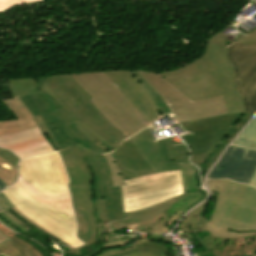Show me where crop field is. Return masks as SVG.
Here are the masks:
<instances>
[{
  "label": "crop field",
  "instance_id": "8a807250",
  "mask_svg": "<svg viewBox=\"0 0 256 256\" xmlns=\"http://www.w3.org/2000/svg\"><path fill=\"white\" fill-rule=\"evenodd\" d=\"M48 83L113 155L124 180L177 170L178 163L189 162L184 144L173 146L169 138L156 142L151 126L140 131L149 124L103 72L53 76Z\"/></svg>",
  "mask_w": 256,
  "mask_h": 256
},
{
  "label": "crop field",
  "instance_id": "ac0d7876",
  "mask_svg": "<svg viewBox=\"0 0 256 256\" xmlns=\"http://www.w3.org/2000/svg\"><path fill=\"white\" fill-rule=\"evenodd\" d=\"M67 176L57 152L21 160L17 182L2 191L25 216L73 247L83 243L75 238L66 187Z\"/></svg>",
  "mask_w": 256,
  "mask_h": 256
},
{
  "label": "crop field",
  "instance_id": "34b2d1b8",
  "mask_svg": "<svg viewBox=\"0 0 256 256\" xmlns=\"http://www.w3.org/2000/svg\"><path fill=\"white\" fill-rule=\"evenodd\" d=\"M37 80L43 94H29L18 99L32 116L41 115L61 150L79 147L93 173L96 198L101 201L106 220L124 219L119 186L112 188L109 166L105 154L93 142L96 139L83 129L72 110L50 90L47 77Z\"/></svg>",
  "mask_w": 256,
  "mask_h": 256
},
{
  "label": "crop field",
  "instance_id": "412701ff",
  "mask_svg": "<svg viewBox=\"0 0 256 256\" xmlns=\"http://www.w3.org/2000/svg\"><path fill=\"white\" fill-rule=\"evenodd\" d=\"M226 41L256 44V29L249 34H237L236 40H228L218 32L210 37L200 58L175 70L159 73L191 101L223 95L227 113H246L226 57L232 44L225 46Z\"/></svg>",
  "mask_w": 256,
  "mask_h": 256
},
{
  "label": "crop field",
  "instance_id": "f4fd0767",
  "mask_svg": "<svg viewBox=\"0 0 256 256\" xmlns=\"http://www.w3.org/2000/svg\"><path fill=\"white\" fill-rule=\"evenodd\" d=\"M103 72L150 124L172 112L177 121L226 113L222 96L191 102L159 73L133 70Z\"/></svg>",
  "mask_w": 256,
  "mask_h": 256
},
{
  "label": "crop field",
  "instance_id": "dd49c442",
  "mask_svg": "<svg viewBox=\"0 0 256 256\" xmlns=\"http://www.w3.org/2000/svg\"><path fill=\"white\" fill-rule=\"evenodd\" d=\"M251 117L252 115L242 113L221 114L178 122L187 133L180 137L190 149L191 162L197 165L200 171H208L223 149Z\"/></svg>",
  "mask_w": 256,
  "mask_h": 256
},
{
  "label": "crop field",
  "instance_id": "e52e79f7",
  "mask_svg": "<svg viewBox=\"0 0 256 256\" xmlns=\"http://www.w3.org/2000/svg\"><path fill=\"white\" fill-rule=\"evenodd\" d=\"M211 222L228 231H256V189L229 181L218 193Z\"/></svg>",
  "mask_w": 256,
  "mask_h": 256
},
{
  "label": "crop field",
  "instance_id": "d8731c3e",
  "mask_svg": "<svg viewBox=\"0 0 256 256\" xmlns=\"http://www.w3.org/2000/svg\"><path fill=\"white\" fill-rule=\"evenodd\" d=\"M121 186L125 212L141 209L184 193L180 170L125 181Z\"/></svg>",
  "mask_w": 256,
  "mask_h": 256
},
{
  "label": "crop field",
  "instance_id": "5a996713",
  "mask_svg": "<svg viewBox=\"0 0 256 256\" xmlns=\"http://www.w3.org/2000/svg\"><path fill=\"white\" fill-rule=\"evenodd\" d=\"M66 173L69 177V193L77 221V237L87 242L91 231L83 202H89L86 181L92 180L89 167L78 147L59 151Z\"/></svg>",
  "mask_w": 256,
  "mask_h": 256
},
{
  "label": "crop field",
  "instance_id": "3316defc",
  "mask_svg": "<svg viewBox=\"0 0 256 256\" xmlns=\"http://www.w3.org/2000/svg\"><path fill=\"white\" fill-rule=\"evenodd\" d=\"M235 74L236 90L243 97L246 111L256 113V45L233 44L228 50Z\"/></svg>",
  "mask_w": 256,
  "mask_h": 256
},
{
  "label": "crop field",
  "instance_id": "28ad6ade",
  "mask_svg": "<svg viewBox=\"0 0 256 256\" xmlns=\"http://www.w3.org/2000/svg\"><path fill=\"white\" fill-rule=\"evenodd\" d=\"M256 171V151L230 146L209 178H230L249 184Z\"/></svg>",
  "mask_w": 256,
  "mask_h": 256
},
{
  "label": "crop field",
  "instance_id": "d1516ede",
  "mask_svg": "<svg viewBox=\"0 0 256 256\" xmlns=\"http://www.w3.org/2000/svg\"><path fill=\"white\" fill-rule=\"evenodd\" d=\"M0 147L11 149L20 158L53 151L38 127L11 135H0Z\"/></svg>",
  "mask_w": 256,
  "mask_h": 256
},
{
  "label": "crop field",
  "instance_id": "22f410ed",
  "mask_svg": "<svg viewBox=\"0 0 256 256\" xmlns=\"http://www.w3.org/2000/svg\"><path fill=\"white\" fill-rule=\"evenodd\" d=\"M12 96L14 99L3 100V104L15 115V120L0 121V134H11L39 126L42 133L47 132L55 144L57 150H60L53 135L48 130L40 115L32 118L30 113L19 102L15 96L12 80H9Z\"/></svg>",
  "mask_w": 256,
  "mask_h": 256
},
{
  "label": "crop field",
  "instance_id": "cbeb9de0",
  "mask_svg": "<svg viewBox=\"0 0 256 256\" xmlns=\"http://www.w3.org/2000/svg\"><path fill=\"white\" fill-rule=\"evenodd\" d=\"M104 235V245L87 256H123L136 251L154 252L158 255L162 252L163 254L166 253L167 247L157 242L131 244L135 239L139 238V236L129 238V236H115L109 232H105Z\"/></svg>",
  "mask_w": 256,
  "mask_h": 256
},
{
  "label": "crop field",
  "instance_id": "5142ce71",
  "mask_svg": "<svg viewBox=\"0 0 256 256\" xmlns=\"http://www.w3.org/2000/svg\"><path fill=\"white\" fill-rule=\"evenodd\" d=\"M182 197H184V194L138 211L125 213L127 219L118 222H111V228L117 230L128 225L152 220L156 215Z\"/></svg>",
  "mask_w": 256,
  "mask_h": 256
},
{
  "label": "crop field",
  "instance_id": "d9b57169",
  "mask_svg": "<svg viewBox=\"0 0 256 256\" xmlns=\"http://www.w3.org/2000/svg\"><path fill=\"white\" fill-rule=\"evenodd\" d=\"M87 184H88V189H89V194H90V203H84V204H85V207L87 210V214H88V218H89V222H90V226H91V230H92L91 237H90L89 241L87 243H85V245H83L77 249H70L69 251H66L65 249H61L63 254L70 253V254H76V255L79 254V256L82 255L78 250H80L81 248H83L87 245L93 244L97 240V225H96V223L106 221L102 214L100 201L95 199L93 181H89V182H87Z\"/></svg>",
  "mask_w": 256,
  "mask_h": 256
},
{
  "label": "crop field",
  "instance_id": "733c2abd",
  "mask_svg": "<svg viewBox=\"0 0 256 256\" xmlns=\"http://www.w3.org/2000/svg\"><path fill=\"white\" fill-rule=\"evenodd\" d=\"M179 165L181 167L183 177L185 198L188 197V195H191L192 198L189 200H185V198L180 199L181 202L178 204V206H173L174 211L171 214H175L177 211L183 212L191 203L201 198V193L198 190L199 188L195 178L196 169L190 163Z\"/></svg>",
  "mask_w": 256,
  "mask_h": 256
},
{
  "label": "crop field",
  "instance_id": "4a817a6b",
  "mask_svg": "<svg viewBox=\"0 0 256 256\" xmlns=\"http://www.w3.org/2000/svg\"><path fill=\"white\" fill-rule=\"evenodd\" d=\"M0 256H41V253L28 243L13 237L0 244Z\"/></svg>",
  "mask_w": 256,
  "mask_h": 256
},
{
  "label": "crop field",
  "instance_id": "bc2a9ffb",
  "mask_svg": "<svg viewBox=\"0 0 256 256\" xmlns=\"http://www.w3.org/2000/svg\"><path fill=\"white\" fill-rule=\"evenodd\" d=\"M18 157L0 149V178L9 186L16 181Z\"/></svg>",
  "mask_w": 256,
  "mask_h": 256
},
{
  "label": "crop field",
  "instance_id": "214f88e0",
  "mask_svg": "<svg viewBox=\"0 0 256 256\" xmlns=\"http://www.w3.org/2000/svg\"><path fill=\"white\" fill-rule=\"evenodd\" d=\"M13 207L11 202L7 199V197L1 192L0 193V222L7 226L8 228L24 234L29 230V228H26L25 224L14 218L10 213L6 211V209H10Z\"/></svg>",
  "mask_w": 256,
  "mask_h": 256
},
{
  "label": "crop field",
  "instance_id": "92a150f3",
  "mask_svg": "<svg viewBox=\"0 0 256 256\" xmlns=\"http://www.w3.org/2000/svg\"><path fill=\"white\" fill-rule=\"evenodd\" d=\"M163 212L155 217L152 221L138 224L139 228L147 229L148 233H166L172 224V220L177 219L178 215H180L182 212H177L171 218L163 215Z\"/></svg>",
  "mask_w": 256,
  "mask_h": 256
},
{
  "label": "crop field",
  "instance_id": "dafd665d",
  "mask_svg": "<svg viewBox=\"0 0 256 256\" xmlns=\"http://www.w3.org/2000/svg\"><path fill=\"white\" fill-rule=\"evenodd\" d=\"M232 145L256 149V116L249 123Z\"/></svg>",
  "mask_w": 256,
  "mask_h": 256
},
{
  "label": "crop field",
  "instance_id": "00972430",
  "mask_svg": "<svg viewBox=\"0 0 256 256\" xmlns=\"http://www.w3.org/2000/svg\"><path fill=\"white\" fill-rule=\"evenodd\" d=\"M17 97L29 93H41L37 87L36 78L13 80Z\"/></svg>",
  "mask_w": 256,
  "mask_h": 256
},
{
  "label": "crop field",
  "instance_id": "a9b5d70f",
  "mask_svg": "<svg viewBox=\"0 0 256 256\" xmlns=\"http://www.w3.org/2000/svg\"><path fill=\"white\" fill-rule=\"evenodd\" d=\"M206 203H204L203 205H201V206L197 207L195 210H193L189 214V216L184 219L182 224L180 226H178V228H184V231H186L187 233L194 232V228L201 218V216H199V215L202 212V210L204 209Z\"/></svg>",
  "mask_w": 256,
  "mask_h": 256
},
{
  "label": "crop field",
  "instance_id": "4177f3b9",
  "mask_svg": "<svg viewBox=\"0 0 256 256\" xmlns=\"http://www.w3.org/2000/svg\"><path fill=\"white\" fill-rule=\"evenodd\" d=\"M96 144H98L106 154L105 157L108 161V164L110 166L111 174H112V182H113V187L118 186V185H125L120 172L111 156V154L96 140L94 141Z\"/></svg>",
  "mask_w": 256,
  "mask_h": 256
},
{
  "label": "crop field",
  "instance_id": "730fd06b",
  "mask_svg": "<svg viewBox=\"0 0 256 256\" xmlns=\"http://www.w3.org/2000/svg\"><path fill=\"white\" fill-rule=\"evenodd\" d=\"M207 228L209 231H211L219 236H226V237H236V236L256 234V232L239 233V232H228V231L220 230V229L216 228L210 221H207Z\"/></svg>",
  "mask_w": 256,
  "mask_h": 256
},
{
  "label": "crop field",
  "instance_id": "eef30255",
  "mask_svg": "<svg viewBox=\"0 0 256 256\" xmlns=\"http://www.w3.org/2000/svg\"><path fill=\"white\" fill-rule=\"evenodd\" d=\"M36 1H40V0H0V13L10 8H13L16 5L23 4V3L36 2Z\"/></svg>",
  "mask_w": 256,
  "mask_h": 256
},
{
  "label": "crop field",
  "instance_id": "ae1a2a85",
  "mask_svg": "<svg viewBox=\"0 0 256 256\" xmlns=\"http://www.w3.org/2000/svg\"><path fill=\"white\" fill-rule=\"evenodd\" d=\"M227 182L228 180L209 181V189L213 193L214 190L219 192Z\"/></svg>",
  "mask_w": 256,
  "mask_h": 256
},
{
  "label": "crop field",
  "instance_id": "d3111659",
  "mask_svg": "<svg viewBox=\"0 0 256 256\" xmlns=\"http://www.w3.org/2000/svg\"><path fill=\"white\" fill-rule=\"evenodd\" d=\"M98 242L103 243L104 242V236H103V232L104 231H109V225L107 224V222L104 223H98Z\"/></svg>",
  "mask_w": 256,
  "mask_h": 256
},
{
  "label": "crop field",
  "instance_id": "750c4746",
  "mask_svg": "<svg viewBox=\"0 0 256 256\" xmlns=\"http://www.w3.org/2000/svg\"><path fill=\"white\" fill-rule=\"evenodd\" d=\"M13 211H15L17 214L21 215L23 218H25L27 221H29L30 223L38 226L37 224H35L34 222H32L30 219H28L27 217H25L23 214H21L15 207L12 208ZM40 227V226H38ZM41 229H43L42 227H40ZM44 231H46L45 229H43ZM47 233H49L48 231H46ZM51 235V237H53L55 240H57L59 243L63 244V245H66V246H69L67 245L66 243H64L63 241H61L60 239H58L57 237H55L54 235H52L51 233H49ZM71 247V246H69Z\"/></svg>",
  "mask_w": 256,
  "mask_h": 256
},
{
  "label": "crop field",
  "instance_id": "bd1437ed",
  "mask_svg": "<svg viewBox=\"0 0 256 256\" xmlns=\"http://www.w3.org/2000/svg\"><path fill=\"white\" fill-rule=\"evenodd\" d=\"M126 256H158V255L154 253H148V252H137V253L129 254ZM160 256H165V255L161 254Z\"/></svg>",
  "mask_w": 256,
  "mask_h": 256
},
{
  "label": "crop field",
  "instance_id": "1d83c4d3",
  "mask_svg": "<svg viewBox=\"0 0 256 256\" xmlns=\"http://www.w3.org/2000/svg\"><path fill=\"white\" fill-rule=\"evenodd\" d=\"M205 221H206V219L202 217L199 225L197 226V229H196L197 231L196 232H205V231H207L206 228H205Z\"/></svg>",
  "mask_w": 256,
  "mask_h": 256
},
{
  "label": "crop field",
  "instance_id": "120bbe31",
  "mask_svg": "<svg viewBox=\"0 0 256 256\" xmlns=\"http://www.w3.org/2000/svg\"><path fill=\"white\" fill-rule=\"evenodd\" d=\"M126 229L131 231V232H128V233L140 231V230L138 229V227H137V224H136V225H132V226H128V227H126Z\"/></svg>",
  "mask_w": 256,
  "mask_h": 256
},
{
  "label": "crop field",
  "instance_id": "d32e631a",
  "mask_svg": "<svg viewBox=\"0 0 256 256\" xmlns=\"http://www.w3.org/2000/svg\"><path fill=\"white\" fill-rule=\"evenodd\" d=\"M10 238H8L6 235H4L3 233L0 232V242L6 241Z\"/></svg>",
  "mask_w": 256,
  "mask_h": 256
},
{
  "label": "crop field",
  "instance_id": "5866460e",
  "mask_svg": "<svg viewBox=\"0 0 256 256\" xmlns=\"http://www.w3.org/2000/svg\"><path fill=\"white\" fill-rule=\"evenodd\" d=\"M8 186L0 179V191L7 188Z\"/></svg>",
  "mask_w": 256,
  "mask_h": 256
},
{
  "label": "crop field",
  "instance_id": "028f5c9d",
  "mask_svg": "<svg viewBox=\"0 0 256 256\" xmlns=\"http://www.w3.org/2000/svg\"><path fill=\"white\" fill-rule=\"evenodd\" d=\"M18 217L21 219V216L18 215ZM22 220V219H21ZM23 221V220H22ZM24 222V221H23ZM26 223V222H25ZM28 225V227H30V223H26ZM36 230L40 231L41 233L45 234L46 232H44L43 230H41L40 228L38 227H35Z\"/></svg>",
  "mask_w": 256,
  "mask_h": 256
},
{
  "label": "crop field",
  "instance_id": "e1f06a70",
  "mask_svg": "<svg viewBox=\"0 0 256 256\" xmlns=\"http://www.w3.org/2000/svg\"><path fill=\"white\" fill-rule=\"evenodd\" d=\"M250 185H253V186L256 187V173H255V175H254L252 181L250 182Z\"/></svg>",
  "mask_w": 256,
  "mask_h": 256
},
{
  "label": "crop field",
  "instance_id": "0bd39190",
  "mask_svg": "<svg viewBox=\"0 0 256 256\" xmlns=\"http://www.w3.org/2000/svg\"><path fill=\"white\" fill-rule=\"evenodd\" d=\"M27 234H29V235L33 236L30 232H27ZM35 237H37V236H35Z\"/></svg>",
  "mask_w": 256,
  "mask_h": 256
}]
</instances>
